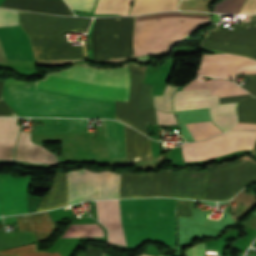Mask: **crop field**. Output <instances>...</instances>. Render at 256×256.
<instances>
[{"label": "crop field", "instance_id": "obj_37", "mask_svg": "<svg viewBox=\"0 0 256 256\" xmlns=\"http://www.w3.org/2000/svg\"><path fill=\"white\" fill-rule=\"evenodd\" d=\"M0 215H1V207H0Z\"/></svg>", "mask_w": 256, "mask_h": 256}, {"label": "crop field", "instance_id": "obj_6", "mask_svg": "<svg viewBox=\"0 0 256 256\" xmlns=\"http://www.w3.org/2000/svg\"><path fill=\"white\" fill-rule=\"evenodd\" d=\"M119 173L91 172L87 169L67 172L68 204L92 199L118 198Z\"/></svg>", "mask_w": 256, "mask_h": 256}, {"label": "crop field", "instance_id": "obj_1", "mask_svg": "<svg viewBox=\"0 0 256 256\" xmlns=\"http://www.w3.org/2000/svg\"><path fill=\"white\" fill-rule=\"evenodd\" d=\"M58 93L34 89V85H5L3 89L4 100L19 116L114 119V101Z\"/></svg>", "mask_w": 256, "mask_h": 256}, {"label": "crop field", "instance_id": "obj_26", "mask_svg": "<svg viewBox=\"0 0 256 256\" xmlns=\"http://www.w3.org/2000/svg\"><path fill=\"white\" fill-rule=\"evenodd\" d=\"M175 89L176 86L168 84L163 96H154V108L161 111H172L170 108V96Z\"/></svg>", "mask_w": 256, "mask_h": 256}, {"label": "crop field", "instance_id": "obj_21", "mask_svg": "<svg viewBox=\"0 0 256 256\" xmlns=\"http://www.w3.org/2000/svg\"><path fill=\"white\" fill-rule=\"evenodd\" d=\"M234 44V43H233ZM202 41V49L223 53H235L253 58L255 47Z\"/></svg>", "mask_w": 256, "mask_h": 256}, {"label": "crop field", "instance_id": "obj_8", "mask_svg": "<svg viewBox=\"0 0 256 256\" xmlns=\"http://www.w3.org/2000/svg\"><path fill=\"white\" fill-rule=\"evenodd\" d=\"M173 111L208 107L210 120L223 132L237 123L236 102L219 104L218 95L209 90L176 91L172 98Z\"/></svg>", "mask_w": 256, "mask_h": 256}, {"label": "crop field", "instance_id": "obj_36", "mask_svg": "<svg viewBox=\"0 0 256 256\" xmlns=\"http://www.w3.org/2000/svg\"><path fill=\"white\" fill-rule=\"evenodd\" d=\"M252 153H255V154H256V142H255V145H254V148H253Z\"/></svg>", "mask_w": 256, "mask_h": 256}, {"label": "crop field", "instance_id": "obj_2", "mask_svg": "<svg viewBox=\"0 0 256 256\" xmlns=\"http://www.w3.org/2000/svg\"><path fill=\"white\" fill-rule=\"evenodd\" d=\"M35 88L94 99L127 101L128 67L93 70L75 66L69 70L48 74L45 80L36 81Z\"/></svg>", "mask_w": 256, "mask_h": 256}, {"label": "crop field", "instance_id": "obj_28", "mask_svg": "<svg viewBox=\"0 0 256 256\" xmlns=\"http://www.w3.org/2000/svg\"><path fill=\"white\" fill-rule=\"evenodd\" d=\"M237 73L240 74H256V66L238 68ZM248 78L247 84L241 85L248 90L252 96H256V75H245Z\"/></svg>", "mask_w": 256, "mask_h": 256}, {"label": "crop field", "instance_id": "obj_10", "mask_svg": "<svg viewBox=\"0 0 256 256\" xmlns=\"http://www.w3.org/2000/svg\"><path fill=\"white\" fill-rule=\"evenodd\" d=\"M130 94L128 102L115 101V119L146 134V124H156L153 109L139 110L138 100L146 67L129 64Z\"/></svg>", "mask_w": 256, "mask_h": 256}, {"label": "crop field", "instance_id": "obj_14", "mask_svg": "<svg viewBox=\"0 0 256 256\" xmlns=\"http://www.w3.org/2000/svg\"><path fill=\"white\" fill-rule=\"evenodd\" d=\"M0 40L7 59L34 61L29 40L20 26L0 28Z\"/></svg>", "mask_w": 256, "mask_h": 256}, {"label": "crop field", "instance_id": "obj_7", "mask_svg": "<svg viewBox=\"0 0 256 256\" xmlns=\"http://www.w3.org/2000/svg\"><path fill=\"white\" fill-rule=\"evenodd\" d=\"M17 118H0V159L12 160L17 132ZM28 132L20 131L15 147L14 159L50 164L57 162V156L30 141Z\"/></svg>", "mask_w": 256, "mask_h": 256}, {"label": "crop field", "instance_id": "obj_25", "mask_svg": "<svg viewBox=\"0 0 256 256\" xmlns=\"http://www.w3.org/2000/svg\"><path fill=\"white\" fill-rule=\"evenodd\" d=\"M1 255H16V256H60L57 252H38L36 250V245H28L13 249H7L0 251Z\"/></svg>", "mask_w": 256, "mask_h": 256}, {"label": "crop field", "instance_id": "obj_12", "mask_svg": "<svg viewBox=\"0 0 256 256\" xmlns=\"http://www.w3.org/2000/svg\"><path fill=\"white\" fill-rule=\"evenodd\" d=\"M204 40L256 46V14L242 19V24H235L233 30H210ZM254 59L256 60V50Z\"/></svg>", "mask_w": 256, "mask_h": 256}, {"label": "crop field", "instance_id": "obj_13", "mask_svg": "<svg viewBox=\"0 0 256 256\" xmlns=\"http://www.w3.org/2000/svg\"><path fill=\"white\" fill-rule=\"evenodd\" d=\"M3 215L26 213L25 178L0 177Z\"/></svg>", "mask_w": 256, "mask_h": 256}, {"label": "crop field", "instance_id": "obj_18", "mask_svg": "<svg viewBox=\"0 0 256 256\" xmlns=\"http://www.w3.org/2000/svg\"><path fill=\"white\" fill-rule=\"evenodd\" d=\"M67 204V187L65 173H56L50 190L42 199L36 212L53 209Z\"/></svg>", "mask_w": 256, "mask_h": 256}, {"label": "crop field", "instance_id": "obj_35", "mask_svg": "<svg viewBox=\"0 0 256 256\" xmlns=\"http://www.w3.org/2000/svg\"><path fill=\"white\" fill-rule=\"evenodd\" d=\"M233 129H255L256 130V125H254V124H240V123H237L230 130H233Z\"/></svg>", "mask_w": 256, "mask_h": 256}, {"label": "crop field", "instance_id": "obj_24", "mask_svg": "<svg viewBox=\"0 0 256 256\" xmlns=\"http://www.w3.org/2000/svg\"><path fill=\"white\" fill-rule=\"evenodd\" d=\"M239 122L256 124V98L241 100L238 103Z\"/></svg>", "mask_w": 256, "mask_h": 256}, {"label": "crop field", "instance_id": "obj_3", "mask_svg": "<svg viewBox=\"0 0 256 256\" xmlns=\"http://www.w3.org/2000/svg\"><path fill=\"white\" fill-rule=\"evenodd\" d=\"M128 248L146 238L176 246V199L119 200Z\"/></svg>", "mask_w": 256, "mask_h": 256}, {"label": "crop field", "instance_id": "obj_5", "mask_svg": "<svg viewBox=\"0 0 256 256\" xmlns=\"http://www.w3.org/2000/svg\"><path fill=\"white\" fill-rule=\"evenodd\" d=\"M209 16L163 12L135 16L132 46L135 57L166 52L177 40L188 35L192 29Z\"/></svg>", "mask_w": 256, "mask_h": 256}, {"label": "crop field", "instance_id": "obj_16", "mask_svg": "<svg viewBox=\"0 0 256 256\" xmlns=\"http://www.w3.org/2000/svg\"><path fill=\"white\" fill-rule=\"evenodd\" d=\"M19 231H32L37 240L46 237L55 224L48 212L16 216Z\"/></svg>", "mask_w": 256, "mask_h": 256}, {"label": "crop field", "instance_id": "obj_34", "mask_svg": "<svg viewBox=\"0 0 256 256\" xmlns=\"http://www.w3.org/2000/svg\"><path fill=\"white\" fill-rule=\"evenodd\" d=\"M251 97L250 95H244V96H234V97H224V98H219L220 103L224 102H233V101H239L241 99L249 98Z\"/></svg>", "mask_w": 256, "mask_h": 256}, {"label": "crop field", "instance_id": "obj_22", "mask_svg": "<svg viewBox=\"0 0 256 256\" xmlns=\"http://www.w3.org/2000/svg\"><path fill=\"white\" fill-rule=\"evenodd\" d=\"M194 141L222 133L211 121L186 124Z\"/></svg>", "mask_w": 256, "mask_h": 256}, {"label": "crop field", "instance_id": "obj_33", "mask_svg": "<svg viewBox=\"0 0 256 256\" xmlns=\"http://www.w3.org/2000/svg\"><path fill=\"white\" fill-rule=\"evenodd\" d=\"M204 253H205V243L197 244L185 251L186 256H204Z\"/></svg>", "mask_w": 256, "mask_h": 256}, {"label": "crop field", "instance_id": "obj_15", "mask_svg": "<svg viewBox=\"0 0 256 256\" xmlns=\"http://www.w3.org/2000/svg\"><path fill=\"white\" fill-rule=\"evenodd\" d=\"M96 203L99 222L104 224L109 232V243L126 246L123 228L120 224L118 200H99Z\"/></svg>", "mask_w": 256, "mask_h": 256}, {"label": "crop field", "instance_id": "obj_30", "mask_svg": "<svg viewBox=\"0 0 256 256\" xmlns=\"http://www.w3.org/2000/svg\"><path fill=\"white\" fill-rule=\"evenodd\" d=\"M18 24V14L15 11L0 9V26Z\"/></svg>", "mask_w": 256, "mask_h": 256}, {"label": "crop field", "instance_id": "obj_19", "mask_svg": "<svg viewBox=\"0 0 256 256\" xmlns=\"http://www.w3.org/2000/svg\"><path fill=\"white\" fill-rule=\"evenodd\" d=\"M108 158L125 157L124 125L105 120Z\"/></svg>", "mask_w": 256, "mask_h": 256}, {"label": "crop field", "instance_id": "obj_11", "mask_svg": "<svg viewBox=\"0 0 256 256\" xmlns=\"http://www.w3.org/2000/svg\"><path fill=\"white\" fill-rule=\"evenodd\" d=\"M170 170L157 173L120 172L119 198L169 197Z\"/></svg>", "mask_w": 256, "mask_h": 256}, {"label": "crop field", "instance_id": "obj_23", "mask_svg": "<svg viewBox=\"0 0 256 256\" xmlns=\"http://www.w3.org/2000/svg\"><path fill=\"white\" fill-rule=\"evenodd\" d=\"M61 237H103V234L97 224H83L70 225L67 232Z\"/></svg>", "mask_w": 256, "mask_h": 256}, {"label": "crop field", "instance_id": "obj_31", "mask_svg": "<svg viewBox=\"0 0 256 256\" xmlns=\"http://www.w3.org/2000/svg\"><path fill=\"white\" fill-rule=\"evenodd\" d=\"M71 9L91 11L94 0H65Z\"/></svg>", "mask_w": 256, "mask_h": 256}, {"label": "crop field", "instance_id": "obj_32", "mask_svg": "<svg viewBox=\"0 0 256 256\" xmlns=\"http://www.w3.org/2000/svg\"><path fill=\"white\" fill-rule=\"evenodd\" d=\"M157 124H176L172 113H163L156 110Z\"/></svg>", "mask_w": 256, "mask_h": 256}, {"label": "crop field", "instance_id": "obj_38", "mask_svg": "<svg viewBox=\"0 0 256 256\" xmlns=\"http://www.w3.org/2000/svg\"><path fill=\"white\" fill-rule=\"evenodd\" d=\"M141 256H147V255H144V254H143V255H141Z\"/></svg>", "mask_w": 256, "mask_h": 256}, {"label": "crop field", "instance_id": "obj_4", "mask_svg": "<svg viewBox=\"0 0 256 256\" xmlns=\"http://www.w3.org/2000/svg\"><path fill=\"white\" fill-rule=\"evenodd\" d=\"M36 61L86 58L83 46H70L62 34L88 26L91 18H69L19 12Z\"/></svg>", "mask_w": 256, "mask_h": 256}, {"label": "crop field", "instance_id": "obj_27", "mask_svg": "<svg viewBox=\"0 0 256 256\" xmlns=\"http://www.w3.org/2000/svg\"><path fill=\"white\" fill-rule=\"evenodd\" d=\"M244 0H222L214 6L213 12L238 13Z\"/></svg>", "mask_w": 256, "mask_h": 256}, {"label": "crop field", "instance_id": "obj_9", "mask_svg": "<svg viewBox=\"0 0 256 256\" xmlns=\"http://www.w3.org/2000/svg\"><path fill=\"white\" fill-rule=\"evenodd\" d=\"M256 132L233 131L218 135L199 143H185L181 146L184 160H200L220 157L237 150L252 149Z\"/></svg>", "mask_w": 256, "mask_h": 256}, {"label": "crop field", "instance_id": "obj_29", "mask_svg": "<svg viewBox=\"0 0 256 256\" xmlns=\"http://www.w3.org/2000/svg\"><path fill=\"white\" fill-rule=\"evenodd\" d=\"M151 98H152V85L142 83V89H141L140 101H139L140 109L152 108Z\"/></svg>", "mask_w": 256, "mask_h": 256}, {"label": "crop field", "instance_id": "obj_17", "mask_svg": "<svg viewBox=\"0 0 256 256\" xmlns=\"http://www.w3.org/2000/svg\"><path fill=\"white\" fill-rule=\"evenodd\" d=\"M126 162L152 158L150 139L125 125Z\"/></svg>", "mask_w": 256, "mask_h": 256}, {"label": "crop field", "instance_id": "obj_20", "mask_svg": "<svg viewBox=\"0 0 256 256\" xmlns=\"http://www.w3.org/2000/svg\"><path fill=\"white\" fill-rule=\"evenodd\" d=\"M86 131L84 119H58V125L36 126V133Z\"/></svg>", "mask_w": 256, "mask_h": 256}]
</instances>
